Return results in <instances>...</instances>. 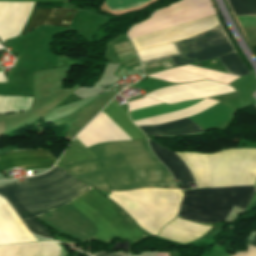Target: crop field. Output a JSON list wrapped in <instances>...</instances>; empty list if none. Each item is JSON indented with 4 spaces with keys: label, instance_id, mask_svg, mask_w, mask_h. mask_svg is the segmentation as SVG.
Masks as SVG:
<instances>
[{
    "label": "crop field",
    "instance_id": "8",
    "mask_svg": "<svg viewBox=\"0 0 256 256\" xmlns=\"http://www.w3.org/2000/svg\"><path fill=\"white\" fill-rule=\"evenodd\" d=\"M34 2H0V39L18 36ZM76 10L67 8H36L24 33L42 25L67 27ZM23 33V34H24Z\"/></svg>",
    "mask_w": 256,
    "mask_h": 256
},
{
    "label": "crop field",
    "instance_id": "22",
    "mask_svg": "<svg viewBox=\"0 0 256 256\" xmlns=\"http://www.w3.org/2000/svg\"><path fill=\"white\" fill-rule=\"evenodd\" d=\"M250 245L256 246V235L253 237ZM234 256H256V248L249 246L246 252H237Z\"/></svg>",
    "mask_w": 256,
    "mask_h": 256
},
{
    "label": "crop field",
    "instance_id": "9",
    "mask_svg": "<svg viewBox=\"0 0 256 256\" xmlns=\"http://www.w3.org/2000/svg\"><path fill=\"white\" fill-rule=\"evenodd\" d=\"M214 13L209 0H183L131 28L129 36L132 39Z\"/></svg>",
    "mask_w": 256,
    "mask_h": 256
},
{
    "label": "crop field",
    "instance_id": "7",
    "mask_svg": "<svg viewBox=\"0 0 256 256\" xmlns=\"http://www.w3.org/2000/svg\"><path fill=\"white\" fill-rule=\"evenodd\" d=\"M71 204L96 225L93 236L99 241L108 243L117 236L136 242L146 237L129 216L94 188Z\"/></svg>",
    "mask_w": 256,
    "mask_h": 256
},
{
    "label": "crop field",
    "instance_id": "16",
    "mask_svg": "<svg viewBox=\"0 0 256 256\" xmlns=\"http://www.w3.org/2000/svg\"><path fill=\"white\" fill-rule=\"evenodd\" d=\"M138 128H140L145 135L150 136L190 134L204 131L187 118L166 124Z\"/></svg>",
    "mask_w": 256,
    "mask_h": 256
},
{
    "label": "crop field",
    "instance_id": "15",
    "mask_svg": "<svg viewBox=\"0 0 256 256\" xmlns=\"http://www.w3.org/2000/svg\"><path fill=\"white\" fill-rule=\"evenodd\" d=\"M0 256H59V253L50 241H44L1 246Z\"/></svg>",
    "mask_w": 256,
    "mask_h": 256
},
{
    "label": "crop field",
    "instance_id": "20",
    "mask_svg": "<svg viewBox=\"0 0 256 256\" xmlns=\"http://www.w3.org/2000/svg\"><path fill=\"white\" fill-rule=\"evenodd\" d=\"M235 15L256 14V0H228Z\"/></svg>",
    "mask_w": 256,
    "mask_h": 256
},
{
    "label": "crop field",
    "instance_id": "24",
    "mask_svg": "<svg viewBox=\"0 0 256 256\" xmlns=\"http://www.w3.org/2000/svg\"><path fill=\"white\" fill-rule=\"evenodd\" d=\"M15 1H44V2H56V1H67V0H15Z\"/></svg>",
    "mask_w": 256,
    "mask_h": 256
},
{
    "label": "crop field",
    "instance_id": "11",
    "mask_svg": "<svg viewBox=\"0 0 256 256\" xmlns=\"http://www.w3.org/2000/svg\"><path fill=\"white\" fill-rule=\"evenodd\" d=\"M76 138L86 147L105 141L131 140V138L102 111Z\"/></svg>",
    "mask_w": 256,
    "mask_h": 256
},
{
    "label": "crop field",
    "instance_id": "3",
    "mask_svg": "<svg viewBox=\"0 0 256 256\" xmlns=\"http://www.w3.org/2000/svg\"><path fill=\"white\" fill-rule=\"evenodd\" d=\"M73 180H76V178L54 167L42 175L0 187V195L10 202ZM90 188V186L76 180L10 202V205L31 232L37 236L51 239L52 237L45 227L35 218L72 202Z\"/></svg>",
    "mask_w": 256,
    "mask_h": 256
},
{
    "label": "crop field",
    "instance_id": "25",
    "mask_svg": "<svg viewBox=\"0 0 256 256\" xmlns=\"http://www.w3.org/2000/svg\"><path fill=\"white\" fill-rule=\"evenodd\" d=\"M0 71H2V70L0 69Z\"/></svg>",
    "mask_w": 256,
    "mask_h": 256
},
{
    "label": "crop field",
    "instance_id": "2",
    "mask_svg": "<svg viewBox=\"0 0 256 256\" xmlns=\"http://www.w3.org/2000/svg\"><path fill=\"white\" fill-rule=\"evenodd\" d=\"M148 141L156 157L178 179L183 189H188L189 183L196 182L197 187H204L253 184L255 181L256 149H229L212 154L178 152L190 167L195 182L188 166L177 152Z\"/></svg>",
    "mask_w": 256,
    "mask_h": 256
},
{
    "label": "crop field",
    "instance_id": "10",
    "mask_svg": "<svg viewBox=\"0 0 256 256\" xmlns=\"http://www.w3.org/2000/svg\"><path fill=\"white\" fill-rule=\"evenodd\" d=\"M219 24L215 14L132 39L135 50L167 44L204 32Z\"/></svg>",
    "mask_w": 256,
    "mask_h": 256
},
{
    "label": "crop field",
    "instance_id": "14",
    "mask_svg": "<svg viewBox=\"0 0 256 256\" xmlns=\"http://www.w3.org/2000/svg\"><path fill=\"white\" fill-rule=\"evenodd\" d=\"M209 227L210 226H202L176 218L173 222L165 225L157 235L173 241L185 243L201 236L209 229Z\"/></svg>",
    "mask_w": 256,
    "mask_h": 256
},
{
    "label": "crop field",
    "instance_id": "13",
    "mask_svg": "<svg viewBox=\"0 0 256 256\" xmlns=\"http://www.w3.org/2000/svg\"><path fill=\"white\" fill-rule=\"evenodd\" d=\"M35 241L6 201L0 198V245Z\"/></svg>",
    "mask_w": 256,
    "mask_h": 256
},
{
    "label": "crop field",
    "instance_id": "5",
    "mask_svg": "<svg viewBox=\"0 0 256 256\" xmlns=\"http://www.w3.org/2000/svg\"><path fill=\"white\" fill-rule=\"evenodd\" d=\"M179 54L141 63L149 64L171 59L174 67L217 58L226 73L250 75L246 65L224 33L221 24L192 38L174 43Z\"/></svg>",
    "mask_w": 256,
    "mask_h": 256
},
{
    "label": "crop field",
    "instance_id": "21",
    "mask_svg": "<svg viewBox=\"0 0 256 256\" xmlns=\"http://www.w3.org/2000/svg\"><path fill=\"white\" fill-rule=\"evenodd\" d=\"M147 1L149 0H105L104 3L110 10H123L136 7Z\"/></svg>",
    "mask_w": 256,
    "mask_h": 256
},
{
    "label": "crop field",
    "instance_id": "19",
    "mask_svg": "<svg viewBox=\"0 0 256 256\" xmlns=\"http://www.w3.org/2000/svg\"><path fill=\"white\" fill-rule=\"evenodd\" d=\"M136 52L141 62L178 53L173 43Z\"/></svg>",
    "mask_w": 256,
    "mask_h": 256
},
{
    "label": "crop field",
    "instance_id": "6",
    "mask_svg": "<svg viewBox=\"0 0 256 256\" xmlns=\"http://www.w3.org/2000/svg\"><path fill=\"white\" fill-rule=\"evenodd\" d=\"M255 186H232L184 191L179 217L201 223L224 221L233 205L246 210Z\"/></svg>",
    "mask_w": 256,
    "mask_h": 256
},
{
    "label": "crop field",
    "instance_id": "17",
    "mask_svg": "<svg viewBox=\"0 0 256 256\" xmlns=\"http://www.w3.org/2000/svg\"><path fill=\"white\" fill-rule=\"evenodd\" d=\"M132 139L145 138L143 133L136 128L127 116V112L113 100L102 110Z\"/></svg>",
    "mask_w": 256,
    "mask_h": 256
},
{
    "label": "crop field",
    "instance_id": "23",
    "mask_svg": "<svg viewBox=\"0 0 256 256\" xmlns=\"http://www.w3.org/2000/svg\"><path fill=\"white\" fill-rule=\"evenodd\" d=\"M93 256H130L129 254L127 253H113V254H108V253H105V252H98L96 254H94Z\"/></svg>",
    "mask_w": 256,
    "mask_h": 256
},
{
    "label": "crop field",
    "instance_id": "12",
    "mask_svg": "<svg viewBox=\"0 0 256 256\" xmlns=\"http://www.w3.org/2000/svg\"><path fill=\"white\" fill-rule=\"evenodd\" d=\"M44 150H17L2 154L0 155V172L12 167H21L25 170L50 168L56 159Z\"/></svg>",
    "mask_w": 256,
    "mask_h": 256
},
{
    "label": "crop field",
    "instance_id": "18",
    "mask_svg": "<svg viewBox=\"0 0 256 256\" xmlns=\"http://www.w3.org/2000/svg\"><path fill=\"white\" fill-rule=\"evenodd\" d=\"M95 158L96 157L85 146L74 138L58 161L57 166L60 167L63 165Z\"/></svg>",
    "mask_w": 256,
    "mask_h": 256
},
{
    "label": "crop field",
    "instance_id": "4",
    "mask_svg": "<svg viewBox=\"0 0 256 256\" xmlns=\"http://www.w3.org/2000/svg\"><path fill=\"white\" fill-rule=\"evenodd\" d=\"M107 197L122 207L139 227L154 236L165 223L176 216L182 192L144 189L112 192Z\"/></svg>",
    "mask_w": 256,
    "mask_h": 256
},
{
    "label": "crop field",
    "instance_id": "1",
    "mask_svg": "<svg viewBox=\"0 0 256 256\" xmlns=\"http://www.w3.org/2000/svg\"><path fill=\"white\" fill-rule=\"evenodd\" d=\"M88 149L98 159L83 161L62 168L76 177L108 169L161 164L150 152L146 140L107 142L96 144L88 147ZM76 178L106 190L123 191L137 187L176 188L163 165L115 169Z\"/></svg>",
    "mask_w": 256,
    "mask_h": 256
}]
</instances>
